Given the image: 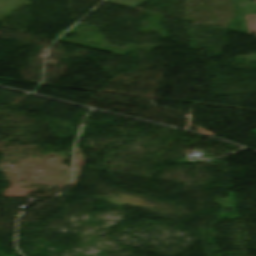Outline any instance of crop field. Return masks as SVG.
I'll return each instance as SVG.
<instances>
[{
    "label": "crop field",
    "instance_id": "1",
    "mask_svg": "<svg viewBox=\"0 0 256 256\" xmlns=\"http://www.w3.org/2000/svg\"><path fill=\"white\" fill-rule=\"evenodd\" d=\"M252 133L256 134V130L251 131Z\"/></svg>",
    "mask_w": 256,
    "mask_h": 256
}]
</instances>
